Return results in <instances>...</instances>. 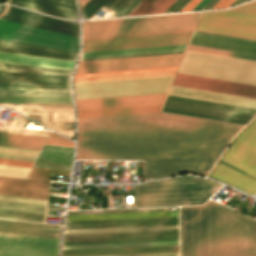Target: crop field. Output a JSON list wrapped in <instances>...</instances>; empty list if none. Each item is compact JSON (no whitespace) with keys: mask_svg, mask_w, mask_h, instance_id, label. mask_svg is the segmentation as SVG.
<instances>
[{"mask_svg":"<svg viewBox=\"0 0 256 256\" xmlns=\"http://www.w3.org/2000/svg\"><path fill=\"white\" fill-rule=\"evenodd\" d=\"M45 144H49V145H59V146H69V147H73V146H71V145L56 144V143H49V142H46Z\"/></svg>","mask_w":256,"mask_h":256,"instance_id":"obj_53","label":"crop field"},{"mask_svg":"<svg viewBox=\"0 0 256 256\" xmlns=\"http://www.w3.org/2000/svg\"><path fill=\"white\" fill-rule=\"evenodd\" d=\"M9 3L35 9L57 17L78 19V13L33 0H10Z\"/></svg>","mask_w":256,"mask_h":256,"instance_id":"obj_33","label":"crop field"},{"mask_svg":"<svg viewBox=\"0 0 256 256\" xmlns=\"http://www.w3.org/2000/svg\"><path fill=\"white\" fill-rule=\"evenodd\" d=\"M58 241L0 233V256H57Z\"/></svg>","mask_w":256,"mask_h":256,"instance_id":"obj_13","label":"crop field"},{"mask_svg":"<svg viewBox=\"0 0 256 256\" xmlns=\"http://www.w3.org/2000/svg\"><path fill=\"white\" fill-rule=\"evenodd\" d=\"M108 0H89L83 7L81 15L90 19Z\"/></svg>","mask_w":256,"mask_h":256,"instance_id":"obj_42","label":"crop field"},{"mask_svg":"<svg viewBox=\"0 0 256 256\" xmlns=\"http://www.w3.org/2000/svg\"><path fill=\"white\" fill-rule=\"evenodd\" d=\"M0 19L79 37V23L61 21L8 6Z\"/></svg>","mask_w":256,"mask_h":256,"instance_id":"obj_17","label":"crop field"},{"mask_svg":"<svg viewBox=\"0 0 256 256\" xmlns=\"http://www.w3.org/2000/svg\"><path fill=\"white\" fill-rule=\"evenodd\" d=\"M181 256H256V220L208 201L180 207Z\"/></svg>","mask_w":256,"mask_h":256,"instance_id":"obj_2","label":"crop field"},{"mask_svg":"<svg viewBox=\"0 0 256 256\" xmlns=\"http://www.w3.org/2000/svg\"><path fill=\"white\" fill-rule=\"evenodd\" d=\"M170 69H177V67L159 68V69H146V70H133V71H121V72H108V73H95V74H82V75H76L75 77L106 75V74H119V73H132V72H145V71H157V70H170Z\"/></svg>","mask_w":256,"mask_h":256,"instance_id":"obj_44","label":"crop field"},{"mask_svg":"<svg viewBox=\"0 0 256 256\" xmlns=\"http://www.w3.org/2000/svg\"><path fill=\"white\" fill-rule=\"evenodd\" d=\"M51 174L69 176L70 172L33 167L28 178L50 180Z\"/></svg>","mask_w":256,"mask_h":256,"instance_id":"obj_41","label":"crop field"},{"mask_svg":"<svg viewBox=\"0 0 256 256\" xmlns=\"http://www.w3.org/2000/svg\"><path fill=\"white\" fill-rule=\"evenodd\" d=\"M39 151L0 147V158L34 161ZM0 159V165L31 168L33 162Z\"/></svg>","mask_w":256,"mask_h":256,"instance_id":"obj_31","label":"crop field"},{"mask_svg":"<svg viewBox=\"0 0 256 256\" xmlns=\"http://www.w3.org/2000/svg\"><path fill=\"white\" fill-rule=\"evenodd\" d=\"M162 111L245 125L256 109L168 95Z\"/></svg>","mask_w":256,"mask_h":256,"instance_id":"obj_8","label":"crop field"},{"mask_svg":"<svg viewBox=\"0 0 256 256\" xmlns=\"http://www.w3.org/2000/svg\"><path fill=\"white\" fill-rule=\"evenodd\" d=\"M88 0H80L81 2V7L87 2Z\"/></svg>","mask_w":256,"mask_h":256,"instance_id":"obj_56","label":"crop field"},{"mask_svg":"<svg viewBox=\"0 0 256 256\" xmlns=\"http://www.w3.org/2000/svg\"><path fill=\"white\" fill-rule=\"evenodd\" d=\"M171 95L256 108V100L172 86Z\"/></svg>","mask_w":256,"mask_h":256,"instance_id":"obj_25","label":"crop field"},{"mask_svg":"<svg viewBox=\"0 0 256 256\" xmlns=\"http://www.w3.org/2000/svg\"><path fill=\"white\" fill-rule=\"evenodd\" d=\"M164 245H178V241L106 243V244H78V245H64L63 249L105 248V247H134V246H164Z\"/></svg>","mask_w":256,"mask_h":256,"instance_id":"obj_38","label":"crop field"},{"mask_svg":"<svg viewBox=\"0 0 256 256\" xmlns=\"http://www.w3.org/2000/svg\"><path fill=\"white\" fill-rule=\"evenodd\" d=\"M167 216H178V211L123 213V214H101V215H79V216H68L67 221L122 219V218H145V217H167Z\"/></svg>","mask_w":256,"mask_h":256,"instance_id":"obj_32","label":"crop field"},{"mask_svg":"<svg viewBox=\"0 0 256 256\" xmlns=\"http://www.w3.org/2000/svg\"><path fill=\"white\" fill-rule=\"evenodd\" d=\"M186 46L187 45L142 48V49H128V50H115V51H102V52H89V53H83L81 59L112 57V56H125V55H138V54H151V53L178 52V51H184ZM178 53H183V52H178ZM165 54H177V53H165ZM152 55H164V54H152ZM138 56H151V55H138ZM138 56H125V57H138ZM125 57H112V58H125ZM112 58H100V59H112ZM87 60H99V59H87ZM81 61H86V60H81Z\"/></svg>","mask_w":256,"mask_h":256,"instance_id":"obj_29","label":"crop field"},{"mask_svg":"<svg viewBox=\"0 0 256 256\" xmlns=\"http://www.w3.org/2000/svg\"><path fill=\"white\" fill-rule=\"evenodd\" d=\"M179 252L178 246L63 250L62 256Z\"/></svg>","mask_w":256,"mask_h":256,"instance_id":"obj_28","label":"crop field"},{"mask_svg":"<svg viewBox=\"0 0 256 256\" xmlns=\"http://www.w3.org/2000/svg\"><path fill=\"white\" fill-rule=\"evenodd\" d=\"M47 201L0 196V218L44 223Z\"/></svg>","mask_w":256,"mask_h":256,"instance_id":"obj_16","label":"crop field"},{"mask_svg":"<svg viewBox=\"0 0 256 256\" xmlns=\"http://www.w3.org/2000/svg\"><path fill=\"white\" fill-rule=\"evenodd\" d=\"M178 225V217L67 222L66 229Z\"/></svg>","mask_w":256,"mask_h":256,"instance_id":"obj_22","label":"crop field"},{"mask_svg":"<svg viewBox=\"0 0 256 256\" xmlns=\"http://www.w3.org/2000/svg\"><path fill=\"white\" fill-rule=\"evenodd\" d=\"M47 141L49 142H56V143H64V144H71V145H74L72 141L54 133V132H51Z\"/></svg>","mask_w":256,"mask_h":256,"instance_id":"obj_45","label":"crop field"},{"mask_svg":"<svg viewBox=\"0 0 256 256\" xmlns=\"http://www.w3.org/2000/svg\"><path fill=\"white\" fill-rule=\"evenodd\" d=\"M0 167H7V168H16V169H25V170H29V169H26V168H17V167H8V166H0Z\"/></svg>","mask_w":256,"mask_h":256,"instance_id":"obj_55","label":"crop field"},{"mask_svg":"<svg viewBox=\"0 0 256 256\" xmlns=\"http://www.w3.org/2000/svg\"><path fill=\"white\" fill-rule=\"evenodd\" d=\"M220 187L213 181L193 177L138 185L134 187V207L201 204Z\"/></svg>","mask_w":256,"mask_h":256,"instance_id":"obj_4","label":"crop field"},{"mask_svg":"<svg viewBox=\"0 0 256 256\" xmlns=\"http://www.w3.org/2000/svg\"><path fill=\"white\" fill-rule=\"evenodd\" d=\"M195 30L256 40V1L230 10L203 13Z\"/></svg>","mask_w":256,"mask_h":256,"instance_id":"obj_7","label":"crop field"},{"mask_svg":"<svg viewBox=\"0 0 256 256\" xmlns=\"http://www.w3.org/2000/svg\"><path fill=\"white\" fill-rule=\"evenodd\" d=\"M142 0H128L116 13L111 17L115 16H126L138 3Z\"/></svg>","mask_w":256,"mask_h":256,"instance_id":"obj_43","label":"crop field"},{"mask_svg":"<svg viewBox=\"0 0 256 256\" xmlns=\"http://www.w3.org/2000/svg\"><path fill=\"white\" fill-rule=\"evenodd\" d=\"M221 161L256 178V120L238 136Z\"/></svg>","mask_w":256,"mask_h":256,"instance_id":"obj_14","label":"crop field"},{"mask_svg":"<svg viewBox=\"0 0 256 256\" xmlns=\"http://www.w3.org/2000/svg\"><path fill=\"white\" fill-rule=\"evenodd\" d=\"M179 72L256 85V62L251 61L188 51Z\"/></svg>","mask_w":256,"mask_h":256,"instance_id":"obj_5","label":"crop field"},{"mask_svg":"<svg viewBox=\"0 0 256 256\" xmlns=\"http://www.w3.org/2000/svg\"><path fill=\"white\" fill-rule=\"evenodd\" d=\"M126 1L127 0H110L104 5V7L115 12Z\"/></svg>","mask_w":256,"mask_h":256,"instance_id":"obj_46","label":"crop field"},{"mask_svg":"<svg viewBox=\"0 0 256 256\" xmlns=\"http://www.w3.org/2000/svg\"><path fill=\"white\" fill-rule=\"evenodd\" d=\"M172 85L256 99V86L252 85L180 73L177 74Z\"/></svg>","mask_w":256,"mask_h":256,"instance_id":"obj_15","label":"crop field"},{"mask_svg":"<svg viewBox=\"0 0 256 256\" xmlns=\"http://www.w3.org/2000/svg\"><path fill=\"white\" fill-rule=\"evenodd\" d=\"M0 51L36 55V56H43V57H50V58H57V59H65V60H72V61H75L78 55L76 53L53 50V49L25 45V44L3 41V40H0Z\"/></svg>","mask_w":256,"mask_h":256,"instance_id":"obj_27","label":"crop field"},{"mask_svg":"<svg viewBox=\"0 0 256 256\" xmlns=\"http://www.w3.org/2000/svg\"><path fill=\"white\" fill-rule=\"evenodd\" d=\"M160 229H178V226L140 227V228L82 229V230H66L65 233L103 232V231H125V230H160Z\"/></svg>","mask_w":256,"mask_h":256,"instance_id":"obj_40","label":"crop field"},{"mask_svg":"<svg viewBox=\"0 0 256 256\" xmlns=\"http://www.w3.org/2000/svg\"><path fill=\"white\" fill-rule=\"evenodd\" d=\"M174 76L74 84L76 100L167 93Z\"/></svg>","mask_w":256,"mask_h":256,"instance_id":"obj_6","label":"crop field"},{"mask_svg":"<svg viewBox=\"0 0 256 256\" xmlns=\"http://www.w3.org/2000/svg\"><path fill=\"white\" fill-rule=\"evenodd\" d=\"M187 50L256 61V56L189 45Z\"/></svg>","mask_w":256,"mask_h":256,"instance_id":"obj_39","label":"crop field"},{"mask_svg":"<svg viewBox=\"0 0 256 256\" xmlns=\"http://www.w3.org/2000/svg\"><path fill=\"white\" fill-rule=\"evenodd\" d=\"M235 0H220L212 9L229 7Z\"/></svg>","mask_w":256,"mask_h":256,"instance_id":"obj_48","label":"crop field"},{"mask_svg":"<svg viewBox=\"0 0 256 256\" xmlns=\"http://www.w3.org/2000/svg\"><path fill=\"white\" fill-rule=\"evenodd\" d=\"M0 86L70 89V77L0 71Z\"/></svg>","mask_w":256,"mask_h":256,"instance_id":"obj_18","label":"crop field"},{"mask_svg":"<svg viewBox=\"0 0 256 256\" xmlns=\"http://www.w3.org/2000/svg\"><path fill=\"white\" fill-rule=\"evenodd\" d=\"M166 95L76 101L78 118L159 112Z\"/></svg>","mask_w":256,"mask_h":256,"instance_id":"obj_9","label":"crop field"},{"mask_svg":"<svg viewBox=\"0 0 256 256\" xmlns=\"http://www.w3.org/2000/svg\"><path fill=\"white\" fill-rule=\"evenodd\" d=\"M200 13L84 22V40L192 31Z\"/></svg>","mask_w":256,"mask_h":256,"instance_id":"obj_3","label":"crop field"},{"mask_svg":"<svg viewBox=\"0 0 256 256\" xmlns=\"http://www.w3.org/2000/svg\"><path fill=\"white\" fill-rule=\"evenodd\" d=\"M50 182L0 176V195L47 200Z\"/></svg>","mask_w":256,"mask_h":256,"instance_id":"obj_21","label":"crop field"},{"mask_svg":"<svg viewBox=\"0 0 256 256\" xmlns=\"http://www.w3.org/2000/svg\"><path fill=\"white\" fill-rule=\"evenodd\" d=\"M201 0H191L180 12L191 11Z\"/></svg>","mask_w":256,"mask_h":256,"instance_id":"obj_49","label":"crop field"},{"mask_svg":"<svg viewBox=\"0 0 256 256\" xmlns=\"http://www.w3.org/2000/svg\"><path fill=\"white\" fill-rule=\"evenodd\" d=\"M243 0H236L231 6L241 3Z\"/></svg>","mask_w":256,"mask_h":256,"instance_id":"obj_54","label":"crop field"},{"mask_svg":"<svg viewBox=\"0 0 256 256\" xmlns=\"http://www.w3.org/2000/svg\"><path fill=\"white\" fill-rule=\"evenodd\" d=\"M0 62L68 70H72L75 63L72 61L57 60L6 52H0Z\"/></svg>","mask_w":256,"mask_h":256,"instance_id":"obj_26","label":"crop field"},{"mask_svg":"<svg viewBox=\"0 0 256 256\" xmlns=\"http://www.w3.org/2000/svg\"><path fill=\"white\" fill-rule=\"evenodd\" d=\"M167 240H178V239H167ZM144 241H164V240H144ZM121 242H134V241H121ZM98 243H105V242H98Z\"/></svg>","mask_w":256,"mask_h":256,"instance_id":"obj_52","label":"crop field"},{"mask_svg":"<svg viewBox=\"0 0 256 256\" xmlns=\"http://www.w3.org/2000/svg\"><path fill=\"white\" fill-rule=\"evenodd\" d=\"M189 44L256 55V41L195 31Z\"/></svg>","mask_w":256,"mask_h":256,"instance_id":"obj_20","label":"crop field"},{"mask_svg":"<svg viewBox=\"0 0 256 256\" xmlns=\"http://www.w3.org/2000/svg\"><path fill=\"white\" fill-rule=\"evenodd\" d=\"M73 148L44 145L34 166L70 171Z\"/></svg>","mask_w":256,"mask_h":256,"instance_id":"obj_24","label":"crop field"},{"mask_svg":"<svg viewBox=\"0 0 256 256\" xmlns=\"http://www.w3.org/2000/svg\"><path fill=\"white\" fill-rule=\"evenodd\" d=\"M182 55L80 62L76 74L178 66Z\"/></svg>","mask_w":256,"mask_h":256,"instance_id":"obj_11","label":"crop field"},{"mask_svg":"<svg viewBox=\"0 0 256 256\" xmlns=\"http://www.w3.org/2000/svg\"><path fill=\"white\" fill-rule=\"evenodd\" d=\"M61 226L0 219V232L59 239Z\"/></svg>","mask_w":256,"mask_h":256,"instance_id":"obj_23","label":"crop field"},{"mask_svg":"<svg viewBox=\"0 0 256 256\" xmlns=\"http://www.w3.org/2000/svg\"><path fill=\"white\" fill-rule=\"evenodd\" d=\"M210 177L224 181L247 193H250V194L256 193L255 180L220 163H218L217 167L211 173Z\"/></svg>","mask_w":256,"mask_h":256,"instance_id":"obj_30","label":"crop field"},{"mask_svg":"<svg viewBox=\"0 0 256 256\" xmlns=\"http://www.w3.org/2000/svg\"><path fill=\"white\" fill-rule=\"evenodd\" d=\"M176 70L75 78L74 83L174 75Z\"/></svg>","mask_w":256,"mask_h":256,"instance_id":"obj_36","label":"crop field"},{"mask_svg":"<svg viewBox=\"0 0 256 256\" xmlns=\"http://www.w3.org/2000/svg\"><path fill=\"white\" fill-rule=\"evenodd\" d=\"M191 33L84 41L83 52L187 44Z\"/></svg>","mask_w":256,"mask_h":256,"instance_id":"obj_12","label":"crop field"},{"mask_svg":"<svg viewBox=\"0 0 256 256\" xmlns=\"http://www.w3.org/2000/svg\"><path fill=\"white\" fill-rule=\"evenodd\" d=\"M219 0L208 1L200 10L211 9Z\"/></svg>","mask_w":256,"mask_h":256,"instance_id":"obj_50","label":"crop field"},{"mask_svg":"<svg viewBox=\"0 0 256 256\" xmlns=\"http://www.w3.org/2000/svg\"><path fill=\"white\" fill-rule=\"evenodd\" d=\"M31 102H72L71 96L48 95H2L0 103H31Z\"/></svg>","mask_w":256,"mask_h":256,"instance_id":"obj_35","label":"crop field"},{"mask_svg":"<svg viewBox=\"0 0 256 256\" xmlns=\"http://www.w3.org/2000/svg\"><path fill=\"white\" fill-rule=\"evenodd\" d=\"M106 256H179V253H165V254H135V255H106Z\"/></svg>","mask_w":256,"mask_h":256,"instance_id":"obj_47","label":"crop field"},{"mask_svg":"<svg viewBox=\"0 0 256 256\" xmlns=\"http://www.w3.org/2000/svg\"><path fill=\"white\" fill-rule=\"evenodd\" d=\"M208 0H202L192 11L199 10Z\"/></svg>","mask_w":256,"mask_h":256,"instance_id":"obj_51","label":"crop field"},{"mask_svg":"<svg viewBox=\"0 0 256 256\" xmlns=\"http://www.w3.org/2000/svg\"><path fill=\"white\" fill-rule=\"evenodd\" d=\"M178 238V230L65 234L64 243Z\"/></svg>","mask_w":256,"mask_h":256,"instance_id":"obj_19","label":"crop field"},{"mask_svg":"<svg viewBox=\"0 0 256 256\" xmlns=\"http://www.w3.org/2000/svg\"><path fill=\"white\" fill-rule=\"evenodd\" d=\"M77 122L76 159L145 160V180L204 175L243 127L163 113Z\"/></svg>","mask_w":256,"mask_h":256,"instance_id":"obj_1","label":"crop field"},{"mask_svg":"<svg viewBox=\"0 0 256 256\" xmlns=\"http://www.w3.org/2000/svg\"><path fill=\"white\" fill-rule=\"evenodd\" d=\"M52 184L67 186V184H63V183H55V182H52Z\"/></svg>","mask_w":256,"mask_h":256,"instance_id":"obj_57","label":"crop field"},{"mask_svg":"<svg viewBox=\"0 0 256 256\" xmlns=\"http://www.w3.org/2000/svg\"><path fill=\"white\" fill-rule=\"evenodd\" d=\"M0 39L78 53L79 38L0 20Z\"/></svg>","mask_w":256,"mask_h":256,"instance_id":"obj_10","label":"crop field"},{"mask_svg":"<svg viewBox=\"0 0 256 256\" xmlns=\"http://www.w3.org/2000/svg\"><path fill=\"white\" fill-rule=\"evenodd\" d=\"M46 138L1 134L0 145L40 150Z\"/></svg>","mask_w":256,"mask_h":256,"instance_id":"obj_34","label":"crop field"},{"mask_svg":"<svg viewBox=\"0 0 256 256\" xmlns=\"http://www.w3.org/2000/svg\"><path fill=\"white\" fill-rule=\"evenodd\" d=\"M176 0H143L127 16L163 13Z\"/></svg>","mask_w":256,"mask_h":256,"instance_id":"obj_37","label":"crop field"}]
</instances>
